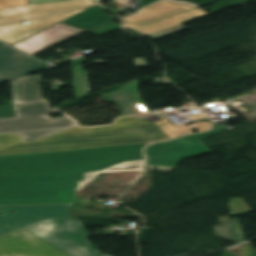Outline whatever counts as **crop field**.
Masks as SVG:
<instances>
[{"label":"crop field","mask_w":256,"mask_h":256,"mask_svg":"<svg viewBox=\"0 0 256 256\" xmlns=\"http://www.w3.org/2000/svg\"><path fill=\"white\" fill-rule=\"evenodd\" d=\"M146 144L0 156V205L90 202L76 200L86 173L143 160Z\"/></svg>","instance_id":"1"},{"label":"crop field","mask_w":256,"mask_h":256,"mask_svg":"<svg viewBox=\"0 0 256 256\" xmlns=\"http://www.w3.org/2000/svg\"><path fill=\"white\" fill-rule=\"evenodd\" d=\"M193 126L165 127L133 116L116 119L111 125H81L30 142L15 133L1 134L0 155L162 141L191 133Z\"/></svg>","instance_id":"2"},{"label":"crop field","mask_w":256,"mask_h":256,"mask_svg":"<svg viewBox=\"0 0 256 256\" xmlns=\"http://www.w3.org/2000/svg\"><path fill=\"white\" fill-rule=\"evenodd\" d=\"M16 118L0 119V134L15 132L30 141L68 128L78 126V121L61 113L42 98L39 75L25 76L10 82Z\"/></svg>","instance_id":"3"},{"label":"crop field","mask_w":256,"mask_h":256,"mask_svg":"<svg viewBox=\"0 0 256 256\" xmlns=\"http://www.w3.org/2000/svg\"><path fill=\"white\" fill-rule=\"evenodd\" d=\"M23 228L68 256H108L91 246L89 233L74 218L46 219Z\"/></svg>","instance_id":"4"},{"label":"crop field","mask_w":256,"mask_h":256,"mask_svg":"<svg viewBox=\"0 0 256 256\" xmlns=\"http://www.w3.org/2000/svg\"><path fill=\"white\" fill-rule=\"evenodd\" d=\"M192 8L196 7L187 3L161 0L154 4L143 7L138 13L123 19L126 28L134 29L145 35H150L209 15L208 13L197 9L135 27L148 21Z\"/></svg>","instance_id":"5"},{"label":"crop field","mask_w":256,"mask_h":256,"mask_svg":"<svg viewBox=\"0 0 256 256\" xmlns=\"http://www.w3.org/2000/svg\"><path fill=\"white\" fill-rule=\"evenodd\" d=\"M227 127H216L202 134L187 135L169 142L151 144L145 150L148 157L146 165L175 168L184 159L212 153L198 138Z\"/></svg>","instance_id":"6"},{"label":"crop field","mask_w":256,"mask_h":256,"mask_svg":"<svg viewBox=\"0 0 256 256\" xmlns=\"http://www.w3.org/2000/svg\"><path fill=\"white\" fill-rule=\"evenodd\" d=\"M72 205L0 206V235L46 218L69 217Z\"/></svg>","instance_id":"7"},{"label":"crop field","mask_w":256,"mask_h":256,"mask_svg":"<svg viewBox=\"0 0 256 256\" xmlns=\"http://www.w3.org/2000/svg\"><path fill=\"white\" fill-rule=\"evenodd\" d=\"M0 256H67L24 229L0 236Z\"/></svg>","instance_id":"8"},{"label":"crop field","mask_w":256,"mask_h":256,"mask_svg":"<svg viewBox=\"0 0 256 256\" xmlns=\"http://www.w3.org/2000/svg\"><path fill=\"white\" fill-rule=\"evenodd\" d=\"M44 63L6 45H0V84L40 71Z\"/></svg>","instance_id":"9"},{"label":"crop field","mask_w":256,"mask_h":256,"mask_svg":"<svg viewBox=\"0 0 256 256\" xmlns=\"http://www.w3.org/2000/svg\"><path fill=\"white\" fill-rule=\"evenodd\" d=\"M83 31L85 30L58 23L13 46L30 55H33L41 50H44L50 46H54L68 38H71Z\"/></svg>","instance_id":"10"},{"label":"crop field","mask_w":256,"mask_h":256,"mask_svg":"<svg viewBox=\"0 0 256 256\" xmlns=\"http://www.w3.org/2000/svg\"><path fill=\"white\" fill-rule=\"evenodd\" d=\"M79 11L31 20V23L26 25H22L20 23L6 25L5 28L8 31L0 33V40L13 44Z\"/></svg>","instance_id":"11"},{"label":"crop field","mask_w":256,"mask_h":256,"mask_svg":"<svg viewBox=\"0 0 256 256\" xmlns=\"http://www.w3.org/2000/svg\"><path fill=\"white\" fill-rule=\"evenodd\" d=\"M101 96L107 102L114 101L121 109V116L148 111L145 106L143 107L144 104L138 96V80L132 81L130 85L122 87L119 91Z\"/></svg>","instance_id":"12"},{"label":"crop field","mask_w":256,"mask_h":256,"mask_svg":"<svg viewBox=\"0 0 256 256\" xmlns=\"http://www.w3.org/2000/svg\"><path fill=\"white\" fill-rule=\"evenodd\" d=\"M106 11L99 5L88 8L84 12H80L60 23L68 24L78 28L90 30L94 27L102 25L111 19L116 18V16H107L103 12Z\"/></svg>","instance_id":"13"},{"label":"crop field","mask_w":256,"mask_h":256,"mask_svg":"<svg viewBox=\"0 0 256 256\" xmlns=\"http://www.w3.org/2000/svg\"><path fill=\"white\" fill-rule=\"evenodd\" d=\"M94 4L91 0H73L43 4L26 5L28 18L41 17L61 11L78 9L88 5Z\"/></svg>","instance_id":"14"},{"label":"crop field","mask_w":256,"mask_h":256,"mask_svg":"<svg viewBox=\"0 0 256 256\" xmlns=\"http://www.w3.org/2000/svg\"><path fill=\"white\" fill-rule=\"evenodd\" d=\"M232 220V219H231ZM216 237L229 240L235 244L245 241L237 219L214 226Z\"/></svg>","instance_id":"15"},{"label":"crop field","mask_w":256,"mask_h":256,"mask_svg":"<svg viewBox=\"0 0 256 256\" xmlns=\"http://www.w3.org/2000/svg\"><path fill=\"white\" fill-rule=\"evenodd\" d=\"M74 96L89 95V83L87 71L82 68L72 70Z\"/></svg>","instance_id":"16"},{"label":"crop field","mask_w":256,"mask_h":256,"mask_svg":"<svg viewBox=\"0 0 256 256\" xmlns=\"http://www.w3.org/2000/svg\"><path fill=\"white\" fill-rule=\"evenodd\" d=\"M143 161L140 162H132V163H126L123 165H119L104 171H113V170H124V169H136V168H141L142 167ZM98 173H92V174H87V181H80L79 188H78V196L80 193L85 189V187L93 180V178L97 175Z\"/></svg>","instance_id":"17"},{"label":"crop field","mask_w":256,"mask_h":256,"mask_svg":"<svg viewBox=\"0 0 256 256\" xmlns=\"http://www.w3.org/2000/svg\"><path fill=\"white\" fill-rule=\"evenodd\" d=\"M26 19L25 13H9L7 9L0 10V24Z\"/></svg>","instance_id":"18"},{"label":"crop field","mask_w":256,"mask_h":256,"mask_svg":"<svg viewBox=\"0 0 256 256\" xmlns=\"http://www.w3.org/2000/svg\"><path fill=\"white\" fill-rule=\"evenodd\" d=\"M15 117L12 101H5L4 106L0 107V118Z\"/></svg>","instance_id":"19"},{"label":"crop field","mask_w":256,"mask_h":256,"mask_svg":"<svg viewBox=\"0 0 256 256\" xmlns=\"http://www.w3.org/2000/svg\"><path fill=\"white\" fill-rule=\"evenodd\" d=\"M28 0H0V9L26 5Z\"/></svg>","instance_id":"20"},{"label":"crop field","mask_w":256,"mask_h":256,"mask_svg":"<svg viewBox=\"0 0 256 256\" xmlns=\"http://www.w3.org/2000/svg\"><path fill=\"white\" fill-rule=\"evenodd\" d=\"M184 29H187V28L184 27V26H181V27H178V28H175V29H172V30L163 31V32H160V33H157V34H153V35H150L148 37L155 40V39L170 35L172 33H175V32H178V31H181V30H184Z\"/></svg>","instance_id":"21"},{"label":"crop field","mask_w":256,"mask_h":256,"mask_svg":"<svg viewBox=\"0 0 256 256\" xmlns=\"http://www.w3.org/2000/svg\"><path fill=\"white\" fill-rule=\"evenodd\" d=\"M209 127H210V123L198 122V123H195L194 130L201 132V131L207 130Z\"/></svg>","instance_id":"22"},{"label":"crop field","mask_w":256,"mask_h":256,"mask_svg":"<svg viewBox=\"0 0 256 256\" xmlns=\"http://www.w3.org/2000/svg\"><path fill=\"white\" fill-rule=\"evenodd\" d=\"M241 253L242 256H255L248 247L247 243L242 245Z\"/></svg>","instance_id":"23"},{"label":"crop field","mask_w":256,"mask_h":256,"mask_svg":"<svg viewBox=\"0 0 256 256\" xmlns=\"http://www.w3.org/2000/svg\"><path fill=\"white\" fill-rule=\"evenodd\" d=\"M53 1H63V0H29L28 4H33V3H43V2H53ZM93 2H98L100 0H92Z\"/></svg>","instance_id":"24"},{"label":"crop field","mask_w":256,"mask_h":256,"mask_svg":"<svg viewBox=\"0 0 256 256\" xmlns=\"http://www.w3.org/2000/svg\"><path fill=\"white\" fill-rule=\"evenodd\" d=\"M159 0H140V3L138 4V8H141L143 6H146L148 4L154 3Z\"/></svg>","instance_id":"25"},{"label":"crop field","mask_w":256,"mask_h":256,"mask_svg":"<svg viewBox=\"0 0 256 256\" xmlns=\"http://www.w3.org/2000/svg\"><path fill=\"white\" fill-rule=\"evenodd\" d=\"M137 67L147 66L144 58L134 59Z\"/></svg>","instance_id":"26"},{"label":"crop field","mask_w":256,"mask_h":256,"mask_svg":"<svg viewBox=\"0 0 256 256\" xmlns=\"http://www.w3.org/2000/svg\"><path fill=\"white\" fill-rule=\"evenodd\" d=\"M83 61H85L84 57L72 61V62H71L72 68L81 66L80 63L83 62Z\"/></svg>","instance_id":"27"},{"label":"crop field","mask_w":256,"mask_h":256,"mask_svg":"<svg viewBox=\"0 0 256 256\" xmlns=\"http://www.w3.org/2000/svg\"><path fill=\"white\" fill-rule=\"evenodd\" d=\"M156 116H158L162 121H158V122H162L165 126H169V125H172L167 119H165L163 117V114L160 113V114H157Z\"/></svg>","instance_id":"28"},{"label":"crop field","mask_w":256,"mask_h":256,"mask_svg":"<svg viewBox=\"0 0 256 256\" xmlns=\"http://www.w3.org/2000/svg\"><path fill=\"white\" fill-rule=\"evenodd\" d=\"M8 10H9L10 12H21V11L26 12L24 6H22V7H16V8H10V9H8ZM26 17H27V14H26ZM27 19H28V18H27Z\"/></svg>","instance_id":"29"},{"label":"crop field","mask_w":256,"mask_h":256,"mask_svg":"<svg viewBox=\"0 0 256 256\" xmlns=\"http://www.w3.org/2000/svg\"><path fill=\"white\" fill-rule=\"evenodd\" d=\"M168 109H173V108L160 109V110H156V111H152V112H160V111H164V110H168ZM138 114H140V113H138ZM138 114H134V115H138ZM127 116H133V115H127ZM122 117H124V116H122ZM117 118H121V117H117Z\"/></svg>","instance_id":"30"},{"label":"crop field","mask_w":256,"mask_h":256,"mask_svg":"<svg viewBox=\"0 0 256 256\" xmlns=\"http://www.w3.org/2000/svg\"><path fill=\"white\" fill-rule=\"evenodd\" d=\"M191 119H196V118H202V117H205L204 115L202 114H197V115H193V116H190Z\"/></svg>","instance_id":"31"},{"label":"crop field","mask_w":256,"mask_h":256,"mask_svg":"<svg viewBox=\"0 0 256 256\" xmlns=\"http://www.w3.org/2000/svg\"><path fill=\"white\" fill-rule=\"evenodd\" d=\"M95 63H98V64H104V63H106V61H104V60L100 59V60L96 61Z\"/></svg>","instance_id":"32"},{"label":"crop field","mask_w":256,"mask_h":256,"mask_svg":"<svg viewBox=\"0 0 256 256\" xmlns=\"http://www.w3.org/2000/svg\"><path fill=\"white\" fill-rule=\"evenodd\" d=\"M2 31H6V29L3 26L0 27V32Z\"/></svg>","instance_id":"33"},{"label":"crop field","mask_w":256,"mask_h":256,"mask_svg":"<svg viewBox=\"0 0 256 256\" xmlns=\"http://www.w3.org/2000/svg\"><path fill=\"white\" fill-rule=\"evenodd\" d=\"M0 44H2V43L0 42Z\"/></svg>","instance_id":"34"}]
</instances>
